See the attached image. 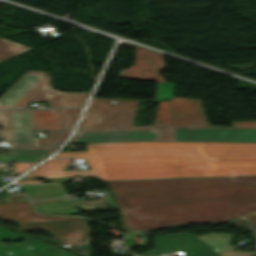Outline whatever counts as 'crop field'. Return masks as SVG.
<instances>
[{"label": "crop field", "mask_w": 256, "mask_h": 256, "mask_svg": "<svg viewBox=\"0 0 256 256\" xmlns=\"http://www.w3.org/2000/svg\"><path fill=\"white\" fill-rule=\"evenodd\" d=\"M93 98L79 128L133 126L140 100H117Z\"/></svg>", "instance_id": "obj_6"}, {"label": "crop field", "mask_w": 256, "mask_h": 256, "mask_svg": "<svg viewBox=\"0 0 256 256\" xmlns=\"http://www.w3.org/2000/svg\"><path fill=\"white\" fill-rule=\"evenodd\" d=\"M175 83H158L155 100H165L173 97Z\"/></svg>", "instance_id": "obj_15"}, {"label": "crop field", "mask_w": 256, "mask_h": 256, "mask_svg": "<svg viewBox=\"0 0 256 256\" xmlns=\"http://www.w3.org/2000/svg\"><path fill=\"white\" fill-rule=\"evenodd\" d=\"M71 159L49 160L35 169L33 172L63 170Z\"/></svg>", "instance_id": "obj_14"}, {"label": "crop field", "mask_w": 256, "mask_h": 256, "mask_svg": "<svg viewBox=\"0 0 256 256\" xmlns=\"http://www.w3.org/2000/svg\"><path fill=\"white\" fill-rule=\"evenodd\" d=\"M140 256H150V255H166V253L159 249L147 250L141 254Z\"/></svg>", "instance_id": "obj_23"}, {"label": "crop field", "mask_w": 256, "mask_h": 256, "mask_svg": "<svg viewBox=\"0 0 256 256\" xmlns=\"http://www.w3.org/2000/svg\"><path fill=\"white\" fill-rule=\"evenodd\" d=\"M18 234H19V237L21 238V240H22L23 242H25V243H35V244H37V245L47 246L49 250L51 249L50 246L53 245V244H49V243H47V242H40V241H38V240L31 239V238H29V237H27V236H25V235H23V234H21V233H18Z\"/></svg>", "instance_id": "obj_21"}, {"label": "crop field", "mask_w": 256, "mask_h": 256, "mask_svg": "<svg viewBox=\"0 0 256 256\" xmlns=\"http://www.w3.org/2000/svg\"><path fill=\"white\" fill-rule=\"evenodd\" d=\"M31 47L23 46L15 42L0 38V60L13 56Z\"/></svg>", "instance_id": "obj_13"}, {"label": "crop field", "mask_w": 256, "mask_h": 256, "mask_svg": "<svg viewBox=\"0 0 256 256\" xmlns=\"http://www.w3.org/2000/svg\"><path fill=\"white\" fill-rule=\"evenodd\" d=\"M70 132H62V133H47L46 138L37 139L38 145L41 144H60L63 143L67 138Z\"/></svg>", "instance_id": "obj_16"}, {"label": "crop field", "mask_w": 256, "mask_h": 256, "mask_svg": "<svg viewBox=\"0 0 256 256\" xmlns=\"http://www.w3.org/2000/svg\"><path fill=\"white\" fill-rule=\"evenodd\" d=\"M86 157L91 170L30 173L25 177L96 176L102 180L256 174V156L201 155L200 149L147 148L59 153Z\"/></svg>", "instance_id": "obj_2"}, {"label": "crop field", "mask_w": 256, "mask_h": 256, "mask_svg": "<svg viewBox=\"0 0 256 256\" xmlns=\"http://www.w3.org/2000/svg\"><path fill=\"white\" fill-rule=\"evenodd\" d=\"M125 230L256 213V176L108 182Z\"/></svg>", "instance_id": "obj_1"}, {"label": "crop field", "mask_w": 256, "mask_h": 256, "mask_svg": "<svg viewBox=\"0 0 256 256\" xmlns=\"http://www.w3.org/2000/svg\"><path fill=\"white\" fill-rule=\"evenodd\" d=\"M35 163H16L14 171L22 172Z\"/></svg>", "instance_id": "obj_24"}, {"label": "crop field", "mask_w": 256, "mask_h": 256, "mask_svg": "<svg viewBox=\"0 0 256 256\" xmlns=\"http://www.w3.org/2000/svg\"><path fill=\"white\" fill-rule=\"evenodd\" d=\"M0 256H9L3 246H0Z\"/></svg>", "instance_id": "obj_27"}, {"label": "crop field", "mask_w": 256, "mask_h": 256, "mask_svg": "<svg viewBox=\"0 0 256 256\" xmlns=\"http://www.w3.org/2000/svg\"><path fill=\"white\" fill-rule=\"evenodd\" d=\"M231 227H242L246 230H249V227L244 219H236L231 222Z\"/></svg>", "instance_id": "obj_22"}, {"label": "crop field", "mask_w": 256, "mask_h": 256, "mask_svg": "<svg viewBox=\"0 0 256 256\" xmlns=\"http://www.w3.org/2000/svg\"><path fill=\"white\" fill-rule=\"evenodd\" d=\"M88 150L146 147L201 148V154L256 155V143L129 142L87 144Z\"/></svg>", "instance_id": "obj_7"}, {"label": "crop field", "mask_w": 256, "mask_h": 256, "mask_svg": "<svg viewBox=\"0 0 256 256\" xmlns=\"http://www.w3.org/2000/svg\"><path fill=\"white\" fill-rule=\"evenodd\" d=\"M56 147L58 146L8 148L10 155H1L0 161H39Z\"/></svg>", "instance_id": "obj_11"}, {"label": "crop field", "mask_w": 256, "mask_h": 256, "mask_svg": "<svg viewBox=\"0 0 256 256\" xmlns=\"http://www.w3.org/2000/svg\"><path fill=\"white\" fill-rule=\"evenodd\" d=\"M207 122L200 100L172 98L161 102L154 125Z\"/></svg>", "instance_id": "obj_9"}, {"label": "crop field", "mask_w": 256, "mask_h": 256, "mask_svg": "<svg viewBox=\"0 0 256 256\" xmlns=\"http://www.w3.org/2000/svg\"><path fill=\"white\" fill-rule=\"evenodd\" d=\"M6 248L9 250L12 256H35V254L25 244L8 245Z\"/></svg>", "instance_id": "obj_19"}, {"label": "crop field", "mask_w": 256, "mask_h": 256, "mask_svg": "<svg viewBox=\"0 0 256 256\" xmlns=\"http://www.w3.org/2000/svg\"><path fill=\"white\" fill-rule=\"evenodd\" d=\"M248 218H249V221H250L252 227H253L254 230L256 231V215L250 216V217H248Z\"/></svg>", "instance_id": "obj_25"}, {"label": "crop field", "mask_w": 256, "mask_h": 256, "mask_svg": "<svg viewBox=\"0 0 256 256\" xmlns=\"http://www.w3.org/2000/svg\"><path fill=\"white\" fill-rule=\"evenodd\" d=\"M210 123L123 128L78 129L69 143L129 141L256 142V121L233 122L232 128Z\"/></svg>", "instance_id": "obj_3"}, {"label": "crop field", "mask_w": 256, "mask_h": 256, "mask_svg": "<svg viewBox=\"0 0 256 256\" xmlns=\"http://www.w3.org/2000/svg\"><path fill=\"white\" fill-rule=\"evenodd\" d=\"M31 250L37 255V256H58L57 253H56V249L55 247H52L53 250L51 251H48L46 247H41V246H37L35 244H27ZM60 250V255L61 256H67L66 255V251L65 250H62V249H59ZM69 255L70 256H76L72 253L69 252Z\"/></svg>", "instance_id": "obj_17"}, {"label": "crop field", "mask_w": 256, "mask_h": 256, "mask_svg": "<svg viewBox=\"0 0 256 256\" xmlns=\"http://www.w3.org/2000/svg\"><path fill=\"white\" fill-rule=\"evenodd\" d=\"M3 218L18 221L21 231L42 228L56 239L89 237L90 232L85 219L77 217L56 216L27 220L22 215H11Z\"/></svg>", "instance_id": "obj_8"}, {"label": "crop field", "mask_w": 256, "mask_h": 256, "mask_svg": "<svg viewBox=\"0 0 256 256\" xmlns=\"http://www.w3.org/2000/svg\"><path fill=\"white\" fill-rule=\"evenodd\" d=\"M157 248L165 252L183 251L187 256H219L217 252L189 233H171L154 236Z\"/></svg>", "instance_id": "obj_10"}, {"label": "crop field", "mask_w": 256, "mask_h": 256, "mask_svg": "<svg viewBox=\"0 0 256 256\" xmlns=\"http://www.w3.org/2000/svg\"><path fill=\"white\" fill-rule=\"evenodd\" d=\"M10 214H23L27 219L37 218V217H48L41 216L35 213L32 204L29 201L1 204L0 205V219H3V215Z\"/></svg>", "instance_id": "obj_12"}, {"label": "crop field", "mask_w": 256, "mask_h": 256, "mask_svg": "<svg viewBox=\"0 0 256 256\" xmlns=\"http://www.w3.org/2000/svg\"><path fill=\"white\" fill-rule=\"evenodd\" d=\"M81 109L0 111V138L15 146L35 145L33 130H71Z\"/></svg>", "instance_id": "obj_4"}, {"label": "crop field", "mask_w": 256, "mask_h": 256, "mask_svg": "<svg viewBox=\"0 0 256 256\" xmlns=\"http://www.w3.org/2000/svg\"><path fill=\"white\" fill-rule=\"evenodd\" d=\"M90 238H83V239H67V240H57V241H53V240H50L54 243H60V242H63L64 244H69L70 247H65V248H72L74 245L80 243V242H83L85 240H88ZM74 252L78 253V254H81L83 256H88L89 255V249L86 245H82V248L80 249H74Z\"/></svg>", "instance_id": "obj_18"}, {"label": "crop field", "mask_w": 256, "mask_h": 256, "mask_svg": "<svg viewBox=\"0 0 256 256\" xmlns=\"http://www.w3.org/2000/svg\"><path fill=\"white\" fill-rule=\"evenodd\" d=\"M18 239L16 233L0 227V240Z\"/></svg>", "instance_id": "obj_20"}, {"label": "crop field", "mask_w": 256, "mask_h": 256, "mask_svg": "<svg viewBox=\"0 0 256 256\" xmlns=\"http://www.w3.org/2000/svg\"><path fill=\"white\" fill-rule=\"evenodd\" d=\"M88 93L53 90L48 73L29 70L0 97V109L29 108V102L38 101H48V107H82Z\"/></svg>", "instance_id": "obj_5"}, {"label": "crop field", "mask_w": 256, "mask_h": 256, "mask_svg": "<svg viewBox=\"0 0 256 256\" xmlns=\"http://www.w3.org/2000/svg\"><path fill=\"white\" fill-rule=\"evenodd\" d=\"M30 183H41L40 180L36 181H18V184H30Z\"/></svg>", "instance_id": "obj_26"}]
</instances>
